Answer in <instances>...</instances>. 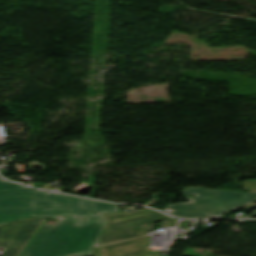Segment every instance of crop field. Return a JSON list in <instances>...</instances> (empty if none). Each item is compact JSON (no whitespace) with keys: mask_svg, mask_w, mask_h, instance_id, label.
<instances>
[{"mask_svg":"<svg viewBox=\"0 0 256 256\" xmlns=\"http://www.w3.org/2000/svg\"><path fill=\"white\" fill-rule=\"evenodd\" d=\"M105 223L102 215L45 221L19 256H89Z\"/></svg>","mask_w":256,"mask_h":256,"instance_id":"2","label":"crop field"},{"mask_svg":"<svg viewBox=\"0 0 256 256\" xmlns=\"http://www.w3.org/2000/svg\"><path fill=\"white\" fill-rule=\"evenodd\" d=\"M160 220L164 221L160 228L176 226L178 223L177 219L157 212L106 223L101 233V245L146 235L150 226Z\"/></svg>","mask_w":256,"mask_h":256,"instance_id":"4","label":"crop field"},{"mask_svg":"<svg viewBox=\"0 0 256 256\" xmlns=\"http://www.w3.org/2000/svg\"><path fill=\"white\" fill-rule=\"evenodd\" d=\"M149 212H153V211L150 209H146V210H142V211H138V212H134V213H111V214H105L103 216L105 217L107 222H111V221L124 219V218H128V217L136 216V215H141V214H145V213H149Z\"/></svg>","mask_w":256,"mask_h":256,"instance_id":"7","label":"crop field"},{"mask_svg":"<svg viewBox=\"0 0 256 256\" xmlns=\"http://www.w3.org/2000/svg\"><path fill=\"white\" fill-rule=\"evenodd\" d=\"M118 212V206L37 191L0 178V223Z\"/></svg>","mask_w":256,"mask_h":256,"instance_id":"1","label":"crop field"},{"mask_svg":"<svg viewBox=\"0 0 256 256\" xmlns=\"http://www.w3.org/2000/svg\"><path fill=\"white\" fill-rule=\"evenodd\" d=\"M190 194L195 195L192 199ZM182 196L191 202L170 205L164 212L180 218H220L223 214L232 212L256 201V194L227 190L198 189L188 187ZM242 215L239 218H252Z\"/></svg>","mask_w":256,"mask_h":256,"instance_id":"3","label":"crop field"},{"mask_svg":"<svg viewBox=\"0 0 256 256\" xmlns=\"http://www.w3.org/2000/svg\"><path fill=\"white\" fill-rule=\"evenodd\" d=\"M45 220L24 219L0 226V247H6L5 256H17L32 239Z\"/></svg>","mask_w":256,"mask_h":256,"instance_id":"5","label":"crop field"},{"mask_svg":"<svg viewBox=\"0 0 256 256\" xmlns=\"http://www.w3.org/2000/svg\"><path fill=\"white\" fill-rule=\"evenodd\" d=\"M148 236L101 246V256H159L148 251Z\"/></svg>","mask_w":256,"mask_h":256,"instance_id":"6","label":"crop field"},{"mask_svg":"<svg viewBox=\"0 0 256 256\" xmlns=\"http://www.w3.org/2000/svg\"><path fill=\"white\" fill-rule=\"evenodd\" d=\"M243 190L256 193V180H246L242 182Z\"/></svg>","mask_w":256,"mask_h":256,"instance_id":"8","label":"crop field"}]
</instances>
